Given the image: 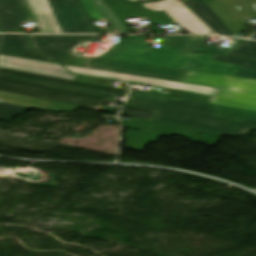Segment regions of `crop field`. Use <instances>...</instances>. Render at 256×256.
Wrapping results in <instances>:
<instances>
[{
    "instance_id": "obj_1",
    "label": "crop field",
    "mask_w": 256,
    "mask_h": 256,
    "mask_svg": "<svg viewBox=\"0 0 256 256\" xmlns=\"http://www.w3.org/2000/svg\"><path fill=\"white\" fill-rule=\"evenodd\" d=\"M128 104L159 110L155 122L219 135L256 129V112L134 91Z\"/></svg>"
},
{
    "instance_id": "obj_2",
    "label": "crop field",
    "mask_w": 256,
    "mask_h": 256,
    "mask_svg": "<svg viewBox=\"0 0 256 256\" xmlns=\"http://www.w3.org/2000/svg\"><path fill=\"white\" fill-rule=\"evenodd\" d=\"M0 90L89 109L100 108L113 94L128 92L1 68Z\"/></svg>"
},
{
    "instance_id": "obj_3",
    "label": "crop field",
    "mask_w": 256,
    "mask_h": 256,
    "mask_svg": "<svg viewBox=\"0 0 256 256\" xmlns=\"http://www.w3.org/2000/svg\"><path fill=\"white\" fill-rule=\"evenodd\" d=\"M198 39L164 37L157 49L148 47L145 37L130 36L100 58L184 69Z\"/></svg>"
},
{
    "instance_id": "obj_4",
    "label": "crop field",
    "mask_w": 256,
    "mask_h": 256,
    "mask_svg": "<svg viewBox=\"0 0 256 256\" xmlns=\"http://www.w3.org/2000/svg\"><path fill=\"white\" fill-rule=\"evenodd\" d=\"M30 39L33 50L61 64L85 67L92 57L78 54L76 48L88 41H98V36H30Z\"/></svg>"
},
{
    "instance_id": "obj_5",
    "label": "crop field",
    "mask_w": 256,
    "mask_h": 256,
    "mask_svg": "<svg viewBox=\"0 0 256 256\" xmlns=\"http://www.w3.org/2000/svg\"><path fill=\"white\" fill-rule=\"evenodd\" d=\"M63 33H99L80 0H48Z\"/></svg>"
},
{
    "instance_id": "obj_6",
    "label": "crop field",
    "mask_w": 256,
    "mask_h": 256,
    "mask_svg": "<svg viewBox=\"0 0 256 256\" xmlns=\"http://www.w3.org/2000/svg\"><path fill=\"white\" fill-rule=\"evenodd\" d=\"M65 66V65H64ZM70 70L71 73L75 74H82L88 76H94L99 78L111 79V80H118V81H125V82H132L150 86H157L169 89H176L206 95L215 96L217 92L220 90L218 88L200 86V85H193V84H186V83H179L173 81H166L148 77H141V76H134V75H127V74H120V73H113L89 68H81V67H73V66H65Z\"/></svg>"
},
{
    "instance_id": "obj_7",
    "label": "crop field",
    "mask_w": 256,
    "mask_h": 256,
    "mask_svg": "<svg viewBox=\"0 0 256 256\" xmlns=\"http://www.w3.org/2000/svg\"><path fill=\"white\" fill-rule=\"evenodd\" d=\"M208 6L232 34L243 31L244 18L256 16V0H216Z\"/></svg>"
},
{
    "instance_id": "obj_8",
    "label": "crop field",
    "mask_w": 256,
    "mask_h": 256,
    "mask_svg": "<svg viewBox=\"0 0 256 256\" xmlns=\"http://www.w3.org/2000/svg\"><path fill=\"white\" fill-rule=\"evenodd\" d=\"M0 67L72 81H75L77 77L75 75H69L59 64L15 57L0 56Z\"/></svg>"
},
{
    "instance_id": "obj_9",
    "label": "crop field",
    "mask_w": 256,
    "mask_h": 256,
    "mask_svg": "<svg viewBox=\"0 0 256 256\" xmlns=\"http://www.w3.org/2000/svg\"><path fill=\"white\" fill-rule=\"evenodd\" d=\"M186 83L256 93V80L187 71Z\"/></svg>"
},
{
    "instance_id": "obj_10",
    "label": "crop field",
    "mask_w": 256,
    "mask_h": 256,
    "mask_svg": "<svg viewBox=\"0 0 256 256\" xmlns=\"http://www.w3.org/2000/svg\"><path fill=\"white\" fill-rule=\"evenodd\" d=\"M90 65L183 79L185 70L92 58Z\"/></svg>"
},
{
    "instance_id": "obj_11",
    "label": "crop field",
    "mask_w": 256,
    "mask_h": 256,
    "mask_svg": "<svg viewBox=\"0 0 256 256\" xmlns=\"http://www.w3.org/2000/svg\"><path fill=\"white\" fill-rule=\"evenodd\" d=\"M29 20V8L25 0H0L1 29L18 31L20 23Z\"/></svg>"
},
{
    "instance_id": "obj_12",
    "label": "crop field",
    "mask_w": 256,
    "mask_h": 256,
    "mask_svg": "<svg viewBox=\"0 0 256 256\" xmlns=\"http://www.w3.org/2000/svg\"><path fill=\"white\" fill-rule=\"evenodd\" d=\"M0 55L53 62L52 59L30 50L28 38L23 35H0Z\"/></svg>"
},
{
    "instance_id": "obj_13",
    "label": "crop field",
    "mask_w": 256,
    "mask_h": 256,
    "mask_svg": "<svg viewBox=\"0 0 256 256\" xmlns=\"http://www.w3.org/2000/svg\"><path fill=\"white\" fill-rule=\"evenodd\" d=\"M215 56L191 53L186 70L233 76L239 65L213 62Z\"/></svg>"
},
{
    "instance_id": "obj_14",
    "label": "crop field",
    "mask_w": 256,
    "mask_h": 256,
    "mask_svg": "<svg viewBox=\"0 0 256 256\" xmlns=\"http://www.w3.org/2000/svg\"><path fill=\"white\" fill-rule=\"evenodd\" d=\"M40 33H62L47 0H26Z\"/></svg>"
},
{
    "instance_id": "obj_15",
    "label": "crop field",
    "mask_w": 256,
    "mask_h": 256,
    "mask_svg": "<svg viewBox=\"0 0 256 256\" xmlns=\"http://www.w3.org/2000/svg\"><path fill=\"white\" fill-rule=\"evenodd\" d=\"M0 102L53 112H75L78 107L54 103L0 91Z\"/></svg>"
},
{
    "instance_id": "obj_16",
    "label": "crop field",
    "mask_w": 256,
    "mask_h": 256,
    "mask_svg": "<svg viewBox=\"0 0 256 256\" xmlns=\"http://www.w3.org/2000/svg\"><path fill=\"white\" fill-rule=\"evenodd\" d=\"M210 103L256 111V94L221 89Z\"/></svg>"
},
{
    "instance_id": "obj_17",
    "label": "crop field",
    "mask_w": 256,
    "mask_h": 256,
    "mask_svg": "<svg viewBox=\"0 0 256 256\" xmlns=\"http://www.w3.org/2000/svg\"><path fill=\"white\" fill-rule=\"evenodd\" d=\"M187 33H211L200 21L187 10L167 12Z\"/></svg>"
},
{
    "instance_id": "obj_18",
    "label": "crop field",
    "mask_w": 256,
    "mask_h": 256,
    "mask_svg": "<svg viewBox=\"0 0 256 256\" xmlns=\"http://www.w3.org/2000/svg\"><path fill=\"white\" fill-rule=\"evenodd\" d=\"M190 10L217 34L233 36L207 5L193 7Z\"/></svg>"
},
{
    "instance_id": "obj_19",
    "label": "crop field",
    "mask_w": 256,
    "mask_h": 256,
    "mask_svg": "<svg viewBox=\"0 0 256 256\" xmlns=\"http://www.w3.org/2000/svg\"><path fill=\"white\" fill-rule=\"evenodd\" d=\"M215 61L241 64L234 76L256 79V61L220 56H217Z\"/></svg>"
},
{
    "instance_id": "obj_20",
    "label": "crop field",
    "mask_w": 256,
    "mask_h": 256,
    "mask_svg": "<svg viewBox=\"0 0 256 256\" xmlns=\"http://www.w3.org/2000/svg\"><path fill=\"white\" fill-rule=\"evenodd\" d=\"M109 7L114 11L121 22L127 21L126 18L142 16L126 0H105Z\"/></svg>"
},
{
    "instance_id": "obj_21",
    "label": "crop field",
    "mask_w": 256,
    "mask_h": 256,
    "mask_svg": "<svg viewBox=\"0 0 256 256\" xmlns=\"http://www.w3.org/2000/svg\"><path fill=\"white\" fill-rule=\"evenodd\" d=\"M133 6L138 11L143 9L156 10V11L184 9L183 6L176 0H163V1L151 2V3L133 4Z\"/></svg>"
},
{
    "instance_id": "obj_22",
    "label": "crop field",
    "mask_w": 256,
    "mask_h": 256,
    "mask_svg": "<svg viewBox=\"0 0 256 256\" xmlns=\"http://www.w3.org/2000/svg\"><path fill=\"white\" fill-rule=\"evenodd\" d=\"M97 8L100 10L102 15L114 29L115 33H123L129 34L127 30L122 26V24L118 21V19L113 15V13L109 10V8L105 5L102 0H93Z\"/></svg>"
},
{
    "instance_id": "obj_23",
    "label": "crop field",
    "mask_w": 256,
    "mask_h": 256,
    "mask_svg": "<svg viewBox=\"0 0 256 256\" xmlns=\"http://www.w3.org/2000/svg\"><path fill=\"white\" fill-rule=\"evenodd\" d=\"M225 56L256 60V42L247 41L242 45H240L239 47L232 50L231 52L227 53Z\"/></svg>"
},
{
    "instance_id": "obj_24",
    "label": "crop field",
    "mask_w": 256,
    "mask_h": 256,
    "mask_svg": "<svg viewBox=\"0 0 256 256\" xmlns=\"http://www.w3.org/2000/svg\"><path fill=\"white\" fill-rule=\"evenodd\" d=\"M155 113H156L155 110L144 109V108L128 106V105H124L120 112L121 115L149 120V121H152Z\"/></svg>"
},
{
    "instance_id": "obj_25",
    "label": "crop field",
    "mask_w": 256,
    "mask_h": 256,
    "mask_svg": "<svg viewBox=\"0 0 256 256\" xmlns=\"http://www.w3.org/2000/svg\"><path fill=\"white\" fill-rule=\"evenodd\" d=\"M28 108L0 103V119L10 121L18 114L22 115Z\"/></svg>"
},
{
    "instance_id": "obj_26",
    "label": "crop field",
    "mask_w": 256,
    "mask_h": 256,
    "mask_svg": "<svg viewBox=\"0 0 256 256\" xmlns=\"http://www.w3.org/2000/svg\"><path fill=\"white\" fill-rule=\"evenodd\" d=\"M206 39H207V37H200V39L197 42L196 46L194 47L193 51L208 53V54H215V55H224L227 52L232 50V48H223V47L215 48L213 46L203 44Z\"/></svg>"
},
{
    "instance_id": "obj_27",
    "label": "crop field",
    "mask_w": 256,
    "mask_h": 256,
    "mask_svg": "<svg viewBox=\"0 0 256 256\" xmlns=\"http://www.w3.org/2000/svg\"><path fill=\"white\" fill-rule=\"evenodd\" d=\"M140 13H142L148 20H150L155 25L175 22L165 12L143 10L140 11Z\"/></svg>"
},
{
    "instance_id": "obj_28",
    "label": "crop field",
    "mask_w": 256,
    "mask_h": 256,
    "mask_svg": "<svg viewBox=\"0 0 256 256\" xmlns=\"http://www.w3.org/2000/svg\"><path fill=\"white\" fill-rule=\"evenodd\" d=\"M81 1L83 2L84 6L86 7L88 12L90 13L93 20L104 19V17L101 15L99 10L96 8V6L92 2V0H81Z\"/></svg>"
},
{
    "instance_id": "obj_29",
    "label": "crop field",
    "mask_w": 256,
    "mask_h": 256,
    "mask_svg": "<svg viewBox=\"0 0 256 256\" xmlns=\"http://www.w3.org/2000/svg\"><path fill=\"white\" fill-rule=\"evenodd\" d=\"M86 67L95 68V69H101V70H107V71H113V72H120V73H127V74H134V75H141V76H148V77H155V78H161V79H167V80H173V81H179V82H182V81H183V80H180V79H173V78H165V77L151 76V75H145V74H138V73H132V72H126V71H119V70L101 68V67L90 66V65H87Z\"/></svg>"
},
{
    "instance_id": "obj_30",
    "label": "crop field",
    "mask_w": 256,
    "mask_h": 256,
    "mask_svg": "<svg viewBox=\"0 0 256 256\" xmlns=\"http://www.w3.org/2000/svg\"><path fill=\"white\" fill-rule=\"evenodd\" d=\"M185 5H187L189 8L193 6H199L205 4L202 0H195V1H190V2H185Z\"/></svg>"
},
{
    "instance_id": "obj_31",
    "label": "crop field",
    "mask_w": 256,
    "mask_h": 256,
    "mask_svg": "<svg viewBox=\"0 0 256 256\" xmlns=\"http://www.w3.org/2000/svg\"><path fill=\"white\" fill-rule=\"evenodd\" d=\"M206 4H209L210 2L214 1V0H203Z\"/></svg>"
},
{
    "instance_id": "obj_32",
    "label": "crop field",
    "mask_w": 256,
    "mask_h": 256,
    "mask_svg": "<svg viewBox=\"0 0 256 256\" xmlns=\"http://www.w3.org/2000/svg\"><path fill=\"white\" fill-rule=\"evenodd\" d=\"M131 2H142V1H139V0H130ZM145 1H148V0H145Z\"/></svg>"
},
{
    "instance_id": "obj_33",
    "label": "crop field",
    "mask_w": 256,
    "mask_h": 256,
    "mask_svg": "<svg viewBox=\"0 0 256 256\" xmlns=\"http://www.w3.org/2000/svg\"><path fill=\"white\" fill-rule=\"evenodd\" d=\"M251 38H255L256 39V34H254Z\"/></svg>"
}]
</instances>
